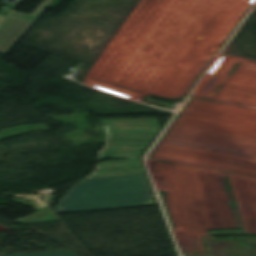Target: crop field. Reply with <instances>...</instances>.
<instances>
[{
    "instance_id": "crop-field-6",
    "label": "crop field",
    "mask_w": 256,
    "mask_h": 256,
    "mask_svg": "<svg viewBox=\"0 0 256 256\" xmlns=\"http://www.w3.org/2000/svg\"><path fill=\"white\" fill-rule=\"evenodd\" d=\"M53 2L54 0H47L45 4L35 12L34 15L41 16Z\"/></svg>"
},
{
    "instance_id": "crop-field-7",
    "label": "crop field",
    "mask_w": 256,
    "mask_h": 256,
    "mask_svg": "<svg viewBox=\"0 0 256 256\" xmlns=\"http://www.w3.org/2000/svg\"><path fill=\"white\" fill-rule=\"evenodd\" d=\"M4 19H5L4 17H0V23H1Z\"/></svg>"
},
{
    "instance_id": "crop-field-3",
    "label": "crop field",
    "mask_w": 256,
    "mask_h": 256,
    "mask_svg": "<svg viewBox=\"0 0 256 256\" xmlns=\"http://www.w3.org/2000/svg\"><path fill=\"white\" fill-rule=\"evenodd\" d=\"M38 18L39 17L13 11L0 27V53L7 54Z\"/></svg>"
},
{
    "instance_id": "crop-field-4",
    "label": "crop field",
    "mask_w": 256,
    "mask_h": 256,
    "mask_svg": "<svg viewBox=\"0 0 256 256\" xmlns=\"http://www.w3.org/2000/svg\"><path fill=\"white\" fill-rule=\"evenodd\" d=\"M53 212H51L47 207L38 210V212L32 214L27 218L17 220L21 225H30V224H40L48 222H56Z\"/></svg>"
},
{
    "instance_id": "crop-field-5",
    "label": "crop field",
    "mask_w": 256,
    "mask_h": 256,
    "mask_svg": "<svg viewBox=\"0 0 256 256\" xmlns=\"http://www.w3.org/2000/svg\"><path fill=\"white\" fill-rule=\"evenodd\" d=\"M10 256H75V255H73L68 251H60V252L22 254V255H10Z\"/></svg>"
},
{
    "instance_id": "crop-field-1",
    "label": "crop field",
    "mask_w": 256,
    "mask_h": 256,
    "mask_svg": "<svg viewBox=\"0 0 256 256\" xmlns=\"http://www.w3.org/2000/svg\"><path fill=\"white\" fill-rule=\"evenodd\" d=\"M56 214L156 205L144 174L86 179L57 204Z\"/></svg>"
},
{
    "instance_id": "crop-field-2",
    "label": "crop field",
    "mask_w": 256,
    "mask_h": 256,
    "mask_svg": "<svg viewBox=\"0 0 256 256\" xmlns=\"http://www.w3.org/2000/svg\"><path fill=\"white\" fill-rule=\"evenodd\" d=\"M109 124L111 138L105 158L129 160L103 162L100 171L91 178L144 173L139 156L159 131L156 120H109Z\"/></svg>"
}]
</instances>
